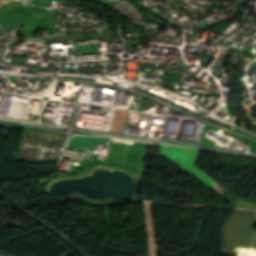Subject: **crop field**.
<instances>
[{
  "instance_id": "8a807250",
  "label": "crop field",
  "mask_w": 256,
  "mask_h": 256,
  "mask_svg": "<svg viewBox=\"0 0 256 256\" xmlns=\"http://www.w3.org/2000/svg\"><path fill=\"white\" fill-rule=\"evenodd\" d=\"M255 215L254 211L235 209L224 227L225 244L250 247Z\"/></svg>"
},
{
  "instance_id": "ac0d7876",
  "label": "crop field",
  "mask_w": 256,
  "mask_h": 256,
  "mask_svg": "<svg viewBox=\"0 0 256 256\" xmlns=\"http://www.w3.org/2000/svg\"><path fill=\"white\" fill-rule=\"evenodd\" d=\"M200 150L161 145V154L168 157L171 161L177 164L181 169L187 171L189 174L193 175L198 181L203 183L208 188L215 190L214 180L208 177L206 174L200 172L196 167L192 165L195 158L199 154ZM180 160L181 162L176 161Z\"/></svg>"
},
{
  "instance_id": "34b2d1b8",
  "label": "crop field",
  "mask_w": 256,
  "mask_h": 256,
  "mask_svg": "<svg viewBox=\"0 0 256 256\" xmlns=\"http://www.w3.org/2000/svg\"><path fill=\"white\" fill-rule=\"evenodd\" d=\"M144 202V210H145V220H146V230L148 234L149 240V253L150 256H158L156 250V235L153 225V218H152V203L164 206H173L168 204H160L149 200H142ZM175 207H207V205H182V206H175Z\"/></svg>"
},
{
  "instance_id": "412701ff",
  "label": "crop field",
  "mask_w": 256,
  "mask_h": 256,
  "mask_svg": "<svg viewBox=\"0 0 256 256\" xmlns=\"http://www.w3.org/2000/svg\"><path fill=\"white\" fill-rule=\"evenodd\" d=\"M237 204L240 205V206L246 207V208H252V209H255V210H256V206H252V205H250V204H248V203H246V202H243V201H241V200H239V201L237 202Z\"/></svg>"
},
{
  "instance_id": "f4fd0767",
  "label": "crop field",
  "mask_w": 256,
  "mask_h": 256,
  "mask_svg": "<svg viewBox=\"0 0 256 256\" xmlns=\"http://www.w3.org/2000/svg\"><path fill=\"white\" fill-rule=\"evenodd\" d=\"M252 247L256 248V232H254V237H253V245Z\"/></svg>"
},
{
  "instance_id": "dd49c442",
  "label": "crop field",
  "mask_w": 256,
  "mask_h": 256,
  "mask_svg": "<svg viewBox=\"0 0 256 256\" xmlns=\"http://www.w3.org/2000/svg\"><path fill=\"white\" fill-rule=\"evenodd\" d=\"M5 1H7V0H5Z\"/></svg>"
}]
</instances>
